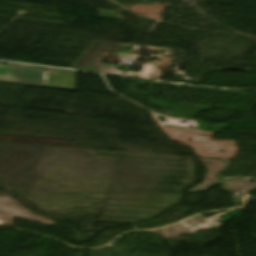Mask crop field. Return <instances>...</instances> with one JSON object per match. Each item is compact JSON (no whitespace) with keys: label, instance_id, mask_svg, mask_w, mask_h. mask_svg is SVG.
Returning <instances> with one entry per match:
<instances>
[{"label":"crop field","instance_id":"1","mask_svg":"<svg viewBox=\"0 0 256 256\" xmlns=\"http://www.w3.org/2000/svg\"><path fill=\"white\" fill-rule=\"evenodd\" d=\"M47 68L12 64L0 66V82L46 87Z\"/></svg>","mask_w":256,"mask_h":256}]
</instances>
